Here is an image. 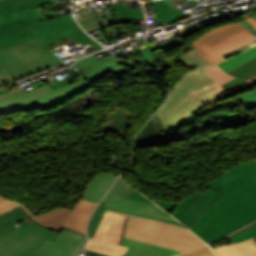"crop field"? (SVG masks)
Returning <instances> with one entry per match:
<instances>
[{
    "label": "crop field",
    "instance_id": "d32e631a",
    "mask_svg": "<svg viewBox=\"0 0 256 256\" xmlns=\"http://www.w3.org/2000/svg\"><path fill=\"white\" fill-rule=\"evenodd\" d=\"M177 256H215L208 246L196 248Z\"/></svg>",
    "mask_w": 256,
    "mask_h": 256
},
{
    "label": "crop field",
    "instance_id": "e1d0b9f6",
    "mask_svg": "<svg viewBox=\"0 0 256 256\" xmlns=\"http://www.w3.org/2000/svg\"><path fill=\"white\" fill-rule=\"evenodd\" d=\"M253 243H254V245L256 246V241H255V239L254 238H252V239H250Z\"/></svg>",
    "mask_w": 256,
    "mask_h": 256
},
{
    "label": "crop field",
    "instance_id": "c21b1889",
    "mask_svg": "<svg viewBox=\"0 0 256 256\" xmlns=\"http://www.w3.org/2000/svg\"><path fill=\"white\" fill-rule=\"evenodd\" d=\"M45 79H47V78H45ZM45 79H43V81L50 87V88H52L53 90H55V89H57V88H60V87H62V86H65V85H67V84H70L69 82H68V80L67 81H63V80H61V81H56V80H54V81H52V83L53 84H49V82H47Z\"/></svg>",
    "mask_w": 256,
    "mask_h": 256
},
{
    "label": "crop field",
    "instance_id": "4177f3b9",
    "mask_svg": "<svg viewBox=\"0 0 256 256\" xmlns=\"http://www.w3.org/2000/svg\"><path fill=\"white\" fill-rule=\"evenodd\" d=\"M255 56H256V47L249 49V50H247V51H245L227 61L219 63L217 65L221 66L227 73Z\"/></svg>",
    "mask_w": 256,
    "mask_h": 256
},
{
    "label": "crop field",
    "instance_id": "ac0d7876",
    "mask_svg": "<svg viewBox=\"0 0 256 256\" xmlns=\"http://www.w3.org/2000/svg\"><path fill=\"white\" fill-rule=\"evenodd\" d=\"M219 94L222 91L204 68L191 70L178 81L157 114L166 128L201 106V101Z\"/></svg>",
    "mask_w": 256,
    "mask_h": 256
},
{
    "label": "crop field",
    "instance_id": "733c2abd",
    "mask_svg": "<svg viewBox=\"0 0 256 256\" xmlns=\"http://www.w3.org/2000/svg\"><path fill=\"white\" fill-rule=\"evenodd\" d=\"M50 91H52V89L46 86V87L25 93L22 87H20L4 95H0V108L19 105L26 101L37 98L43 94H46Z\"/></svg>",
    "mask_w": 256,
    "mask_h": 256
},
{
    "label": "crop field",
    "instance_id": "ae633e8c",
    "mask_svg": "<svg viewBox=\"0 0 256 256\" xmlns=\"http://www.w3.org/2000/svg\"><path fill=\"white\" fill-rule=\"evenodd\" d=\"M253 80H256V77H254V78H252V79H249V80H247L246 82L253 81Z\"/></svg>",
    "mask_w": 256,
    "mask_h": 256
},
{
    "label": "crop field",
    "instance_id": "dbb93151",
    "mask_svg": "<svg viewBox=\"0 0 256 256\" xmlns=\"http://www.w3.org/2000/svg\"><path fill=\"white\" fill-rule=\"evenodd\" d=\"M105 209H108V210H113V211H118V210H114V209H110V208H106ZM118 212H121V211H118ZM122 213H125V212H122ZM126 214H130V213H126ZM132 215H135V214H132ZM141 216V215H139ZM143 217H146V216H143ZM147 218H151V217H147ZM152 219H156V218H152ZM158 220H161V219H158ZM163 221H166V222H171V223H174V224H178V225H181L180 223H177V222H172V221H167V220H163ZM182 226V225H181ZM184 227V226H183ZM186 228V227H185Z\"/></svg>",
    "mask_w": 256,
    "mask_h": 256
},
{
    "label": "crop field",
    "instance_id": "0765c3eb",
    "mask_svg": "<svg viewBox=\"0 0 256 256\" xmlns=\"http://www.w3.org/2000/svg\"><path fill=\"white\" fill-rule=\"evenodd\" d=\"M3 75H10V74L7 73V72L4 70V68H2V67L0 66V76H3Z\"/></svg>",
    "mask_w": 256,
    "mask_h": 256
},
{
    "label": "crop field",
    "instance_id": "c39391a2",
    "mask_svg": "<svg viewBox=\"0 0 256 256\" xmlns=\"http://www.w3.org/2000/svg\"><path fill=\"white\" fill-rule=\"evenodd\" d=\"M255 239H256V237H255Z\"/></svg>",
    "mask_w": 256,
    "mask_h": 256
},
{
    "label": "crop field",
    "instance_id": "4a817a6b",
    "mask_svg": "<svg viewBox=\"0 0 256 256\" xmlns=\"http://www.w3.org/2000/svg\"><path fill=\"white\" fill-rule=\"evenodd\" d=\"M116 176L114 174L100 173L90 181L82 199L98 203Z\"/></svg>",
    "mask_w": 256,
    "mask_h": 256
},
{
    "label": "crop field",
    "instance_id": "25e5ab78",
    "mask_svg": "<svg viewBox=\"0 0 256 256\" xmlns=\"http://www.w3.org/2000/svg\"><path fill=\"white\" fill-rule=\"evenodd\" d=\"M85 240H86V236L82 239V241L78 244V246L73 250V252L69 256H76V254L84 244Z\"/></svg>",
    "mask_w": 256,
    "mask_h": 256
},
{
    "label": "crop field",
    "instance_id": "00972430",
    "mask_svg": "<svg viewBox=\"0 0 256 256\" xmlns=\"http://www.w3.org/2000/svg\"><path fill=\"white\" fill-rule=\"evenodd\" d=\"M118 19L122 23L133 24V20H144L141 9H131L121 6V3L113 4Z\"/></svg>",
    "mask_w": 256,
    "mask_h": 256
},
{
    "label": "crop field",
    "instance_id": "73cf0c24",
    "mask_svg": "<svg viewBox=\"0 0 256 256\" xmlns=\"http://www.w3.org/2000/svg\"><path fill=\"white\" fill-rule=\"evenodd\" d=\"M19 110L20 109L18 108V106H15V107H11V108L1 109L0 114L15 112V111H19Z\"/></svg>",
    "mask_w": 256,
    "mask_h": 256
},
{
    "label": "crop field",
    "instance_id": "5866460e",
    "mask_svg": "<svg viewBox=\"0 0 256 256\" xmlns=\"http://www.w3.org/2000/svg\"><path fill=\"white\" fill-rule=\"evenodd\" d=\"M105 206V204H102L100 209L98 210V212L96 213L95 217L93 218L91 225H90V229H89V235L90 237H92L100 223V219L104 213V209L103 207Z\"/></svg>",
    "mask_w": 256,
    "mask_h": 256
},
{
    "label": "crop field",
    "instance_id": "c035e120",
    "mask_svg": "<svg viewBox=\"0 0 256 256\" xmlns=\"http://www.w3.org/2000/svg\"><path fill=\"white\" fill-rule=\"evenodd\" d=\"M185 56V55H184ZM182 56L181 58H179L177 61H179L180 63H182L185 67H187L189 70L194 69L196 67H199L198 65H196L194 62H192L190 59L186 58Z\"/></svg>",
    "mask_w": 256,
    "mask_h": 256
},
{
    "label": "crop field",
    "instance_id": "22f410ed",
    "mask_svg": "<svg viewBox=\"0 0 256 256\" xmlns=\"http://www.w3.org/2000/svg\"><path fill=\"white\" fill-rule=\"evenodd\" d=\"M84 235L64 229L53 241L46 239L35 254L42 256H68Z\"/></svg>",
    "mask_w": 256,
    "mask_h": 256
},
{
    "label": "crop field",
    "instance_id": "cbeb9de0",
    "mask_svg": "<svg viewBox=\"0 0 256 256\" xmlns=\"http://www.w3.org/2000/svg\"><path fill=\"white\" fill-rule=\"evenodd\" d=\"M155 205L111 197L106 207L130 212V213L176 221L167 212L163 211L162 209H160Z\"/></svg>",
    "mask_w": 256,
    "mask_h": 256
},
{
    "label": "crop field",
    "instance_id": "750c4746",
    "mask_svg": "<svg viewBox=\"0 0 256 256\" xmlns=\"http://www.w3.org/2000/svg\"><path fill=\"white\" fill-rule=\"evenodd\" d=\"M133 192V189L128 187L122 180L121 178L118 179L114 187L111 189V191L108 193L107 197L103 201V203L108 202L111 196L114 197H120V198H125L128 199L130 194Z\"/></svg>",
    "mask_w": 256,
    "mask_h": 256
},
{
    "label": "crop field",
    "instance_id": "03da06ac",
    "mask_svg": "<svg viewBox=\"0 0 256 256\" xmlns=\"http://www.w3.org/2000/svg\"><path fill=\"white\" fill-rule=\"evenodd\" d=\"M149 50H147L144 53H141L142 58L144 61L150 60L153 58L151 51L158 50L159 48L156 45H151L148 47Z\"/></svg>",
    "mask_w": 256,
    "mask_h": 256
},
{
    "label": "crop field",
    "instance_id": "214f88e0",
    "mask_svg": "<svg viewBox=\"0 0 256 256\" xmlns=\"http://www.w3.org/2000/svg\"><path fill=\"white\" fill-rule=\"evenodd\" d=\"M228 74L233 75L237 78L222 85L226 92L245 84V80L256 76V57L232 70Z\"/></svg>",
    "mask_w": 256,
    "mask_h": 256
},
{
    "label": "crop field",
    "instance_id": "ade564c9",
    "mask_svg": "<svg viewBox=\"0 0 256 256\" xmlns=\"http://www.w3.org/2000/svg\"><path fill=\"white\" fill-rule=\"evenodd\" d=\"M1 94V93H0Z\"/></svg>",
    "mask_w": 256,
    "mask_h": 256
},
{
    "label": "crop field",
    "instance_id": "e1f06a70",
    "mask_svg": "<svg viewBox=\"0 0 256 256\" xmlns=\"http://www.w3.org/2000/svg\"><path fill=\"white\" fill-rule=\"evenodd\" d=\"M194 51H195V49H191L190 51H188L185 54V56L190 58L192 61H194L200 67L211 65L207 61H205L203 58H201L199 55H197Z\"/></svg>",
    "mask_w": 256,
    "mask_h": 256
},
{
    "label": "crop field",
    "instance_id": "34b2d1b8",
    "mask_svg": "<svg viewBox=\"0 0 256 256\" xmlns=\"http://www.w3.org/2000/svg\"><path fill=\"white\" fill-rule=\"evenodd\" d=\"M125 216H128L123 234L125 238L135 239L181 252L204 245L199 238L183 227L138 216Z\"/></svg>",
    "mask_w": 256,
    "mask_h": 256
},
{
    "label": "crop field",
    "instance_id": "7b73153f",
    "mask_svg": "<svg viewBox=\"0 0 256 256\" xmlns=\"http://www.w3.org/2000/svg\"><path fill=\"white\" fill-rule=\"evenodd\" d=\"M0 91H1V93H2V94H4V93L8 92V90H7V88H6V87L1 88V89H0Z\"/></svg>",
    "mask_w": 256,
    "mask_h": 256
},
{
    "label": "crop field",
    "instance_id": "b80d0937",
    "mask_svg": "<svg viewBox=\"0 0 256 256\" xmlns=\"http://www.w3.org/2000/svg\"><path fill=\"white\" fill-rule=\"evenodd\" d=\"M151 200L167 211L174 210L177 205V203H173V202H167V201L156 200V199H151Z\"/></svg>",
    "mask_w": 256,
    "mask_h": 256
},
{
    "label": "crop field",
    "instance_id": "28ad6ade",
    "mask_svg": "<svg viewBox=\"0 0 256 256\" xmlns=\"http://www.w3.org/2000/svg\"><path fill=\"white\" fill-rule=\"evenodd\" d=\"M83 83V85H81ZM91 87L84 79L71 85H67L55 91H52L46 95H43L37 99L29 101L27 103L19 105L23 112H27L34 108L40 107L42 111L55 106L73 96L80 93L81 91Z\"/></svg>",
    "mask_w": 256,
    "mask_h": 256
},
{
    "label": "crop field",
    "instance_id": "bd1437ed",
    "mask_svg": "<svg viewBox=\"0 0 256 256\" xmlns=\"http://www.w3.org/2000/svg\"><path fill=\"white\" fill-rule=\"evenodd\" d=\"M256 86V81H253V82H250V83H247L241 87H238L236 89H233L225 94H222V95H219V96H216V97H213V98H210L208 100H205L203 101V107L209 105V104H212L214 102H217V101H220L222 99H225V98H228V97H231L233 95H236V94H239V93H242L252 87Z\"/></svg>",
    "mask_w": 256,
    "mask_h": 256
},
{
    "label": "crop field",
    "instance_id": "9d1cf04e",
    "mask_svg": "<svg viewBox=\"0 0 256 256\" xmlns=\"http://www.w3.org/2000/svg\"><path fill=\"white\" fill-rule=\"evenodd\" d=\"M246 20L256 27V20L252 16L246 18Z\"/></svg>",
    "mask_w": 256,
    "mask_h": 256
},
{
    "label": "crop field",
    "instance_id": "5d738f31",
    "mask_svg": "<svg viewBox=\"0 0 256 256\" xmlns=\"http://www.w3.org/2000/svg\"><path fill=\"white\" fill-rule=\"evenodd\" d=\"M201 109H202V107H200V108L194 110L189 116L185 117L181 122H179V123H177V124H175V125H173V126L167 128V129H166L167 132H168L169 130L173 129L174 127H176V126H177V128L180 127V126H181L182 124H184L192 115L196 114V113H197L199 110H201ZM178 129H179V128H178Z\"/></svg>",
    "mask_w": 256,
    "mask_h": 256
},
{
    "label": "crop field",
    "instance_id": "425ffa30",
    "mask_svg": "<svg viewBox=\"0 0 256 256\" xmlns=\"http://www.w3.org/2000/svg\"><path fill=\"white\" fill-rule=\"evenodd\" d=\"M255 225H256V222H254V223H252V224H250V225H248V226H246V227H244V228H242V229H240V230H238V231H236V232H234V233H232V234H230L228 236L231 239L232 237H234V236H236V235L246 231L247 229H249V228H251V227H253Z\"/></svg>",
    "mask_w": 256,
    "mask_h": 256
},
{
    "label": "crop field",
    "instance_id": "89e229c0",
    "mask_svg": "<svg viewBox=\"0 0 256 256\" xmlns=\"http://www.w3.org/2000/svg\"><path fill=\"white\" fill-rule=\"evenodd\" d=\"M15 225H17V224H15ZM15 225L9 226V227H7V228L1 230V231H0V237H2V236H3L4 234H6V233L12 231L13 229L19 227V226L16 227Z\"/></svg>",
    "mask_w": 256,
    "mask_h": 256
},
{
    "label": "crop field",
    "instance_id": "1d79db26",
    "mask_svg": "<svg viewBox=\"0 0 256 256\" xmlns=\"http://www.w3.org/2000/svg\"><path fill=\"white\" fill-rule=\"evenodd\" d=\"M250 15H252L256 19V11L255 12L251 11V12L247 13L246 15L240 17L239 20H242Z\"/></svg>",
    "mask_w": 256,
    "mask_h": 256
},
{
    "label": "crop field",
    "instance_id": "d8731c3e",
    "mask_svg": "<svg viewBox=\"0 0 256 256\" xmlns=\"http://www.w3.org/2000/svg\"><path fill=\"white\" fill-rule=\"evenodd\" d=\"M126 218L105 212L95 236L89 239L84 248L112 256H124L127 248L120 246V243Z\"/></svg>",
    "mask_w": 256,
    "mask_h": 256
},
{
    "label": "crop field",
    "instance_id": "5142ce71",
    "mask_svg": "<svg viewBox=\"0 0 256 256\" xmlns=\"http://www.w3.org/2000/svg\"><path fill=\"white\" fill-rule=\"evenodd\" d=\"M121 245L129 247L125 256H172L181 253L125 238L122 239Z\"/></svg>",
    "mask_w": 256,
    "mask_h": 256
},
{
    "label": "crop field",
    "instance_id": "dafd665d",
    "mask_svg": "<svg viewBox=\"0 0 256 256\" xmlns=\"http://www.w3.org/2000/svg\"><path fill=\"white\" fill-rule=\"evenodd\" d=\"M79 8V7H78ZM80 10V9H79ZM83 17L77 18V21L81 24V26L87 31L93 30L90 26L98 24L100 28L113 25V24H121L114 23L110 12H105L107 18L97 19L95 13L88 14L85 9L80 10Z\"/></svg>",
    "mask_w": 256,
    "mask_h": 256
},
{
    "label": "crop field",
    "instance_id": "0fb4a251",
    "mask_svg": "<svg viewBox=\"0 0 256 256\" xmlns=\"http://www.w3.org/2000/svg\"><path fill=\"white\" fill-rule=\"evenodd\" d=\"M243 26H245L248 30L252 29L254 26H252L249 22H247L245 19L240 22ZM255 28V27H254Z\"/></svg>",
    "mask_w": 256,
    "mask_h": 256
},
{
    "label": "crop field",
    "instance_id": "1f2cbd36",
    "mask_svg": "<svg viewBox=\"0 0 256 256\" xmlns=\"http://www.w3.org/2000/svg\"><path fill=\"white\" fill-rule=\"evenodd\" d=\"M13 79L11 78V76H4V77H0V85L8 83V82H12Z\"/></svg>",
    "mask_w": 256,
    "mask_h": 256
},
{
    "label": "crop field",
    "instance_id": "ae1a2a85",
    "mask_svg": "<svg viewBox=\"0 0 256 256\" xmlns=\"http://www.w3.org/2000/svg\"><path fill=\"white\" fill-rule=\"evenodd\" d=\"M199 195H201V193L196 192V193L188 196L187 198H185L183 201L179 202L178 206L176 207V209L174 210L172 215L175 216L182 223H185L187 211H188L190 205L192 204V202L195 201V199Z\"/></svg>",
    "mask_w": 256,
    "mask_h": 256
},
{
    "label": "crop field",
    "instance_id": "d3111659",
    "mask_svg": "<svg viewBox=\"0 0 256 256\" xmlns=\"http://www.w3.org/2000/svg\"><path fill=\"white\" fill-rule=\"evenodd\" d=\"M205 69L210 74L211 78L217 83L223 93H225V90L222 88L221 85L235 78L226 74L223 69L217 65L205 67Z\"/></svg>",
    "mask_w": 256,
    "mask_h": 256
},
{
    "label": "crop field",
    "instance_id": "447ae74e",
    "mask_svg": "<svg viewBox=\"0 0 256 256\" xmlns=\"http://www.w3.org/2000/svg\"><path fill=\"white\" fill-rule=\"evenodd\" d=\"M86 253L94 256H108V255H104V254H100V253H96L88 250L86 251Z\"/></svg>",
    "mask_w": 256,
    "mask_h": 256
},
{
    "label": "crop field",
    "instance_id": "d9b57169",
    "mask_svg": "<svg viewBox=\"0 0 256 256\" xmlns=\"http://www.w3.org/2000/svg\"><path fill=\"white\" fill-rule=\"evenodd\" d=\"M178 0H162L154 3H146L153 4L154 10L157 16L158 24L164 21L169 20V23H174L185 18L191 17L192 15H185L177 6ZM181 11V13H179Z\"/></svg>",
    "mask_w": 256,
    "mask_h": 256
},
{
    "label": "crop field",
    "instance_id": "e52e79f7",
    "mask_svg": "<svg viewBox=\"0 0 256 256\" xmlns=\"http://www.w3.org/2000/svg\"><path fill=\"white\" fill-rule=\"evenodd\" d=\"M96 205V203L80 200L72 210L59 208L50 212H44L31 219L49 229L52 227L62 231L66 228L86 235L85 227Z\"/></svg>",
    "mask_w": 256,
    "mask_h": 256
},
{
    "label": "crop field",
    "instance_id": "b54c1fbb",
    "mask_svg": "<svg viewBox=\"0 0 256 256\" xmlns=\"http://www.w3.org/2000/svg\"><path fill=\"white\" fill-rule=\"evenodd\" d=\"M129 199L152 203L146 197H144L142 194L138 193L135 190L132 193V195L129 197Z\"/></svg>",
    "mask_w": 256,
    "mask_h": 256
},
{
    "label": "crop field",
    "instance_id": "f4fd0767",
    "mask_svg": "<svg viewBox=\"0 0 256 256\" xmlns=\"http://www.w3.org/2000/svg\"><path fill=\"white\" fill-rule=\"evenodd\" d=\"M23 14L36 37L47 46L65 38L70 44L73 42L83 45L89 44L97 49H101V46L93 41L77 25L71 14L43 22L35 20L28 10L23 11ZM54 53L56 52L54 51Z\"/></svg>",
    "mask_w": 256,
    "mask_h": 256
},
{
    "label": "crop field",
    "instance_id": "92a150f3",
    "mask_svg": "<svg viewBox=\"0 0 256 256\" xmlns=\"http://www.w3.org/2000/svg\"><path fill=\"white\" fill-rule=\"evenodd\" d=\"M217 256H256V247L250 240L213 249Z\"/></svg>",
    "mask_w": 256,
    "mask_h": 256
},
{
    "label": "crop field",
    "instance_id": "120bbe31",
    "mask_svg": "<svg viewBox=\"0 0 256 256\" xmlns=\"http://www.w3.org/2000/svg\"><path fill=\"white\" fill-rule=\"evenodd\" d=\"M25 27H28V24L25 18L23 17L21 19L0 26V36Z\"/></svg>",
    "mask_w": 256,
    "mask_h": 256
},
{
    "label": "crop field",
    "instance_id": "a9b5d70f",
    "mask_svg": "<svg viewBox=\"0 0 256 256\" xmlns=\"http://www.w3.org/2000/svg\"><path fill=\"white\" fill-rule=\"evenodd\" d=\"M31 37H34V34L30 27L1 36L0 49Z\"/></svg>",
    "mask_w": 256,
    "mask_h": 256
},
{
    "label": "crop field",
    "instance_id": "0bd39190",
    "mask_svg": "<svg viewBox=\"0 0 256 256\" xmlns=\"http://www.w3.org/2000/svg\"><path fill=\"white\" fill-rule=\"evenodd\" d=\"M253 236H256V226L247 230L246 232L234 237L232 240L233 243L246 240L248 238H251Z\"/></svg>",
    "mask_w": 256,
    "mask_h": 256
},
{
    "label": "crop field",
    "instance_id": "bc2a9ffb",
    "mask_svg": "<svg viewBox=\"0 0 256 256\" xmlns=\"http://www.w3.org/2000/svg\"><path fill=\"white\" fill-rule=\"evenodd\" d=\"M222 192L210 189L201 196H199L195 202H193L187 216L185 225L189 228L196 220L202 215L206 208L213 202V200ZM219 197V196H218ZM187 227V228H188Z\"/></svg>",
    "mask_w": 256,
    "mask_h": 256
},
{
    "label": "crop field",
    "instance_id": "d14b1444",
    "mask_svg": "<svg viewBox=\"0 0 256 256\" xmlns=\"http://www.w3.org/2000/svg\"><path fill=\"white\" fill-rule=\"evenodd\" d=\"M4 199H5V198H3V197L0 196V201H2V200H4Z\"/></svg>",
    "mask_w": 256,
    "mask_h": 256
},
{
    "label": "crop field",
    "instance_id": "d1516ede",
    "mask_svg": "<svg viewBox=\"0 0 256 256\" xmlns=\"http://www.w3.org/2000/svg\"><path fill=\"white\" fill-rule=\"evenodd\" d=\"M59 59L61 58L57 57L53 51H51L43 55L5 67V70L9 72L14 81H16L20 78L38 73L49 67L61 64Z\"/></svg>",
    "mask_w": 256,
    "mask_h": 256
},
{
    "label": "crop field",
    "instance_id": "0f1d7ab4",
    "mask_svg": "<svg viewBox=\"0 0 256 256\" xmlns=\"http://www.w3.org/2000/svg\"><path fill=\"white\" fill-rule=\"evenodd\" d=\"M73 74L76 75L79 80L82 79L77 72H73Z\"/></svg>",
    "mask_w": 256,
    "mask_h": 256
},
{
    "label": "crop field",
    "instance_id": "d23c7cc5",
    "mask_svg": "<svg viewBox=\"0 0 256 256\" xmlns=\"http://www.w3.org/2000/svg\"><path fill=\"white\" fill-rule=\"evenodd\" d=\"M248 48H250V47H248L247 45H245V46H243V47H240V48H238V49H236V50H233V51H231V52H229V53L223 55V57H225L226 59H228V58L234 56L235 54H237V53H239V52H241V51H244V50H246V49H248Z\"/></svg>",
    "mask_w": 256,
    "mask_h": 256
},
{
    "label": "crop field",
    "instance_id": "730fd06b",
    "mask_svg": "<svg viewBox=\"0 0 256 256\" xmlns=\"http://www.w3.org/2000/svg\"><path fill=\"white\" fill-rule=\"evenodd\" d=\"M27 217H30L26 211L20 206L16 209L11 210L8 213H5L0 216V229L6 226H9L15 222L23 220Z\"/></svg>",
    "mask_w": 256,
    "mask_h": 256
},
{
    "label": "crop field",
    "instance_id": "eef30255",
    "mask_svg": "<svg viewBox=\"0 0 256 256\" xmlns=\"http://www.w3.org/2000/svg\"><path fill=\"white\" fill-rule=\"evenodd\" d=\"M50 3L49 0H0V9L19 5L21 10Z\"/></svg>",
    "mask_w": 256,
    "mask_h": 256
},
{
    "label": "crop field",
    "instance_id": "5a996713",
    "mask_svg": "<svg viewBox=\"0 0 256 256\" xmlns=\"http://www.w3.org/2000/svg\"><path fill=\"white\" fill-rule=\"evenodd\" d=\"M86 75L82 76L89 84L113 70L125 72L133 69L135 62L117 58L113 55L99 60L95 55L76 61Z\"/></svg>",
    "mask_w": 256,
    "mask_h": 256
},
{
    "label": "crop field",
    "instance_id": "db79e9e6",
    "mask_svg": "<svg viewBox=\"0 0 256 256\" xmlns=\"http://www.w3.org/2000/svg\"><path fill=\"white\" fill-rule=\"evenodd\" d=\"M71 83H74L76 81H78L77 77L73 76L71 78L68 79Z\"/></svg>",
    "mask_w": 256,
    "mask_h": 256
},
{
    "label": "crop field",
    "instance_id": "412701ff",
    "mask_svg": "<svg viewBox=\"0 0 256 256\" xmlns=\"http://www.w3.org/2000/svg\"><path fill=\"white\" fill-rule=\"evenodd\" d=\"M256 40L240 23H233L213 29L191 44L196 53L212 65L226 60L221 55Z\"/></svg>",
    "mask_w": 256,
    "mask_h": 256
},
{
    "label": "crop field",
    "instance_id": "78b8030e",
    "mask_svg": "<svg viewBox=\"0 0 256 256\" xmlns=\"http://www.w3.org/2000/svg\"><path fill=\"white\" fill-rule=\"evenodd\" d=\"M191 4L194 5L195 7L198 5L196 1H191Z\"/></svg>",
    "mask_w": 256,
    "mask_h": 256
},
{
    "label": "crop field",
    "instance_id": "1d83c4d3",
    "mask_svg": "<svg viewBox=\"0 0 256 256\" xmlns=\"http://www.w3.org/2000/svg\"><path fill=\"white\" fill-rule=\"evenodd\" d=\"M20 17H23V14L18 6L0 10V25Z\"/></svg>",
    "mask_w": 256,
    "mask_h": 256
},
{
    "label": "crop field",
    "instance_id": "028f5c9d",
    "mask_svg": "<svg viewBox=\"0 0 256 256\" xmlns=\"http://www.w3.org/2000/svg\"><path fill=\"white\" fill-rule=\"evenodd\" d=\"M18 206H20V204L17 202H13L10 200H4V201L0 202V214L7 212L13 208L18 207ZM22 207L29 213L30 216H32V213L30 211H28L24 206H22Z\"/></svg>",
    "mask_w": 256,
    "mask_h": 256
},
{
    "label": "crop field",
    "instance_id": "8a807250",
    "mask_svg": "<svg viewBox=\"0 0 256 256\" xmlns=\"http://www.w3.org/2000/svg\"><path fill=\"white\" fill-rule=\"evenodd\" d=\"M225 191L191 229L211 243L256 220V160L228 170L206 185Z\"/></svg>",
    "mask_w": 256,
    "mask_h": 256
},
{
    "label": "crop field",
    "instance_id": "3316defc",
    "mask_svg": "<svg viewBox=\"0 0 256 256\" xmlns=\"http://www.w3.org/2000/svg\"><path fill=\"white\" fill-rule=\"evenodd\" d=\"M51 51L36 37L0 50V65L5 67Z\"/></svg>",
    "mask_w": 256,
    "mask_h": 256
},
{
    "label": "crop field",
    "instance_id": "dd49c442",
    "mask_svg": "<svg viewBox=\"0 0 256 256\" xmlns=\"http://www.w3.org/2000/svg\"><path fill=\"white\" fill-rule=\"evenodd\" d=\"M18 224L22 226L0 238V256H38L33 253L43 241L59 235L30 219Z\"/></svg>",
    "mask_w": 256,
    "mask_h": 256
}]
</instances>
